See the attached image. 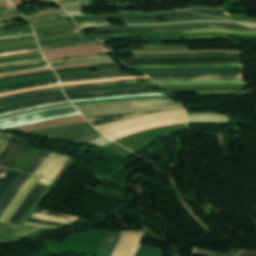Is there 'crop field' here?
I'll return each mask as SVG.
<instances>
[{"instance_id":"30","label":"crop field","mask_w":256,"mask_h":256,"mask_svg":"<svg viewBox=\"0 0 256 256\" xmlns=\"http://www.w3.org/2000/svg\"><path fill=\"white\" fill-rule=\"evenodd\" d=\"M160 249L140 247L135 256H162Z\"/></svg>"},{"instance_id":"55","label":"crop field","mask_w":256,"mask_h":256,"mask_svg":"<svg viewBox=\"0 0 256 256\" xmlns=\"http://www.w3.org/2000/svg\"><path fill=\"white\" fill-rule=\"evenodd\" d=\"M147 95H162V94H147ZM133 96H146V95H133ZM119 97H127V96H119ZM110 98H118V97H110ZM102 99H109V98H102ZM92 100H97V99H92ZM77 101H83V100H77ZM75 102V101H71Z\"/></svg>"},{"instance_id":"32","label":"crop field","mask_w":256,"mask_h":256,"mask_svg":"<svg viewBox=\"0 0 256 256\" xmlns=\"http://www.w3.org/2000/svg\"><path fill=\"white\" fill-rule=\"evenodd\" d=\"M131 82H136V81L135 80H125V81H118V82H111V83H93V84L65 86V87H62V88L63 89H69V88H80V87H89V86H98V85H110V84H121V83H131Z\"/></svg>"},{"instance_id":"67","label":"crop field","mask_w":256,"mask_h":256,"mask_svg":"<svg viewBox=\"0 0 256 256\" xmlns=\"http://www.w3.org/2000/svg\"><path fill=\"white\" fill-rule=\"evenodd\" d=\"M46 64H48V63H45V64H39V65H46ZM39 65H34V66H39ZM28 67H30V66H28ZM19 68H21V67H19ZM9 69H15V68L2 69V70H0V71L9 70Z\"/></svg>"},{"instance_id":"5","label":"crop field","mask_w":256,"mask_h":256,"mask_svg":"<svg viewBox=\"0 0 256 256\" xmlns=\"http://www.w3.org/2000/svg\"><path fill=\"white\" fill-rule=\"evenodd\" d=\"M147 74H211V73H241L244 68L231 67H202V68H176V69H139Z\"/></svg>"},{"instance_id":"1","label":"crop field","mask_w":256,"mask_h":256,"mask_svg":"<svg viewBox=\"0 0 256 256\" xmlns=\"http://www.w3.org/2000/svg\"><path fill=\"white\" fill-rule=\"evenodd\" d=\"M101 114H122L156 109H185L169 99L134 100L98 104ZM97 104L76 106L84 116L101 115Z\"/></svg>"},{"instance_id":"48","label":"crop field","mask_w":256,"mask_h":256,"mask_svg":"<svg viewBox=\"0 0 256 256\" xmlns=\"http://www.w3.org/2000/svg\"><path fill=\"white\" fill-rule=\"evenodd\" d=\"M27 221L28 222L39 223V224H45V225L64 226V224L45 222V221L35 220V219H31V218H29Z\"/></svg>"},{"instance_id":"62","label":"crop field","mask_w":256,"mask_h":256,"mask_svg":"<svg viewBox=\"0 0 256 256\" xmlns=\"http://www.w3.org/2000/svg\"><path fill=\"white\" fill-rule=\"evenodd\" d=\"M139 89H149V88H139ZM128 90H132V89H128ZM116 91H122V90H116ZM103 92H112V91H103ZM91 93H100V92H91ZM81 94H86V93H81Z\"/></svg>"},{"instance_id":"3","label":"crop field","mask_w":256,"mask_h":256,"mask_svg":"<svg viewBox=\"0 0 256 256\" xmlns=\"http://www.w3.org/2000/svg\"><path fill=\"white\" fill-rule=\"evenodd\" d=\"M72 114H79L73 106L33 112L21 116L0 120V128L4 129L8 127L19 126L27 123L43 121L48 119H54Z\"/></svg>"},{"instance_id":"44","label":"crop field","mask_w":256,"mask_h":256,"mask_svg":"<svg viewBox=\"0 0 256 256\" xmlns=\"http://www.w3.org/2000/svg\"><path fill=\"white\" fill-rule=\"evenodd\" d=\"M28 147H29V143L26 142V144L23 147V149L19 152V154L14 159V161L10 165L7 166V168H13L15 166V164L20 160V158L24 155V153L26 152Z\"/></svg>"},{"instance_id":"43","label":"crop field","mask_w":256,"mask_h":256,"mask_svg":"<svg viewBox=\"0 0 256 256\" xmlns=\"http://www.w3.org/2000/svg\"><path fill=\"white\" fill-rule=\"evenodd\" d=\"M111 66H118L116 64H108V65H101V66H95L96 68H103V67H111ZM92 67H83V68H74V69H62V70H56V73L61 72H69V71H77V70H85V69H91Z\"/></svg>"},{"instance_id":"27","label":"crop field","mask_w":256,"mask_h":256,"mask_svg":"<svg viewBox=\"0 0 256 256\" xmlns=\"http://www.w3.org/2000/svg\"><path fill=\"white\" fill-rule=\"evenodd\" d=\"M156 81L166 82V81H200V80H235L242 81V78L235 77H212V78H200V79H155Z\"/></svg>"},{"instance_id":"40","label":"crop field","mask_w":256,"mask_h":256,"mask_svg":"<svg viewBox=\"0 0 256 256\" xmlns=\"http://www.w3.org/2000/svg\"><path fill=\"white\" fill-rule=\"evenodd\" d=\"M59 92H63V91L59 90V91H53V92L38 93V94L30 95V96H25V97L15 98V99H11V100L1 101L0 104H5V103L13 102V101H16V100H20V99L32 98V97L42 96V95L51 94V93H59Z\"/></svg>"},{"instance_id":"11","label":"crop field","mask_w":256,"mask_h":256,"mask_svg":"<svg viewBox=\"0 0 256 256\" xmlns=\"http://www.w3.org/2000/svg\"><path fill=\"white\" fill-rule=\"evenodd\" d=\"M164 110H156V111H145V112H137V113H130V114H122V115H109V116H93V117H86L94 126L106 124L110 122H115L119 120H124L128 118L138 117L142 115L152 114L156 112H160Z\"/></svg>"},{"instance_id":"25","label":"crop field","mask_w":256,"mask_h":256,"mask_svg":"<svg viewBox=\"0 0 256 256\" xmlns=\"http://www.w3.org/2000/svg\"><path fill=\"white\" fill-rule=\"evenodd\" d=\"M140 78H149V77L148 76H142V77H122V78H111V79H99V80L67 82V83H61V84H62V86H64V85H73V84H83V83H93V82H110V81H118V80H125V79H140Z\"/></svg>"},{"instance_id":"41","label":"crop field","mask_w":256,"mask_h":256,"mask_svg":"<svg viewBox=\"0 0 256 256\" xmlns=\"http://www.w3.org/2000/svg\"><path fill=\"white\" fill-rule=\"evenodd\" d=\"M57 89H61V88L60 87H56V88H48V89H44V90H39V91L24 92V93H20V94H15V95L3 97V98H0V100L14 98V97H19V96H24V95H29V94L38 93V92L57 90Z\"/></svg>"},{"instance_id":"6","label":"crop field","mask_w":256,"mask_h":256,"mask_svg":"<svg viewBox=\"0 0 256 256\" xmlns=\"http://www.w3.org/2000/svg\"><path fill=\"white\" fill-rule=\"evenodd\" d=\"M42 178L40 179V181ZM38 182L34 188L31 190V192L28 194L24 202L21 204V206L18 208L15 215L11 218L9 223L17 225V223L20 221L21 217L34 205V203L42 196L43 192L46 190L48 185Z\"/></svg>"},{"instance_id":"36","label":"crop field","mask_w":256,"mask_h":256,"mask_svg":"<svg viewBox=\"0 0 256 256\" xmlns=\"http://www.w3.org/2000/svg\"><path fill=\"white\" fill-rule=\"evenodd\" d=\"M195 253L209 255V256H227V255L214 254L215 252L210 253V252H206V251H202V250H198V249H196ZM240 256H256V252L242 251Z\"/></svg>"},{"instance_id":"56","label":"crop field","mask_w":256,"mask_h":256,"mask_svg":"<svg viewBox=\"0 0 256 256\" xmlns=\"http://www.w3.org/2000/svg\"><path fill=\"white\" fill-rule=\"evenodd\" d=\"M24 225L57 228V227H54V226H45V225H39V224H34V223H28V222H26Z\"/></svg>"},{"instance_id":"8","label":"crop field","mask_w":256,"mask_h":256,"mask_svg":"<svg viewBox=\"0 0 256 256\" xmlns=\"http://www.w3.org/2000/svg\"><path fill=\"white\" fill-rule=\"evenodd\" d=\"M39 179H40L39 177H36L34 175L29 179V181L24 185V187L21 189L19 194L16 196V198L13 200V202L7 208V210L1 217L0 221L8 222V220L11 218L13 213L16 211V209L19 207V205L22 203L24 198L27 196L29 191L38 182Z\"/></svg>"},{"instance_id":"13","label":"crop field","mask_w":256,"mask_h":256,"mask_svg":"<svg viewBox=\"0 0 256 256\" xmlns=\"http://www.w3.org/2000/svg\"><path fill=\"white\" fill-rule=\"evenodd\" d=\"M180 123H186V118L173 119V120L156 122V123H150V124H146V125H143V126H140V127H136V128H133V129L122 131V132H119V133H116V134L108 135V137L115 140V139L121 138L123 136L129 135L131 133L138 132V131H141V130H144V129H148V128H152V127H156V126H164V125L180 124Z\"/></svg>"},{"instance_id":"14","label":"crop field","mask_w":256,"mask_h":256,"mask_svg":"<svg viewBox=\"0 0 256 256\" xmlns=\"http://www.w3.org/2000/svg\"><path fill=\"white\" fill-rule=\"evenodd\" d=\"M194 28H222V29H234V30H247L255 31L251 28H239V27H226V26H187V27H173V28H163V29H102V31H171V30H188Z\"/></svg>"},{"instance_id":"4","label":"crop field","mask_w":256,"mask_h":256,"mask_svg":"<svg viewBox=\"0 0 256 256\" xmlns=\"http://www.w3.org/2000/svg\"><path fill=\"white\" fill-rule=\"evenodd\" d=\"M128 65H181L202 63H237L242 64L240 58L230 57H207L186 59H129L123 60Z\"/></svg>"},{"instance_id":"39","label":"crop field","mask_w":256,"mask_h":256,"mask_svg":"<svg viewBox=\"0 0 256 256\" xmlns=\"http://www.w3.org/2000/svg\"><path fill=\"white\" fill-rule=\"evenodd\" d=\"M56 79H58V78L55 77V78H49V79H43V80L22 82V83H17V84H13V85L0 86V89H5V88L15 87V86H21V85H27V84H33V83H39V82H45V81L56 80Z\"/></svg>"},{"instance_id":"50","label":"crop field","mask_w":256,"mask_h":256,"mask_svg":"<svg viewBox=\"0 0 256 256\" xmlns=\"http://www.w3.org/2000/svg\"><path fill=\"white\" fill-rule=\"evenodd\" d=\"M67 102H70V101H66V102H59V103H67ZM59 103H52V104H59ZM52 104H46V105H52ZM46 105H41V106H46ZM41 106L25 108V109H22V110H18V111H14V112H9V113H5V114H1L0 116H2V115H6V114H11V113H16V112H20V111H25V110H29V109H33V108H37V107H41Z\"/></svg>"},{"instance_id":"42","label":"crop field","mask_w":256,"mask_h":256,"mask_svg":"<svg viewBox=\"0 0 256 256\" xmlns=\"http://www.w3.org/2000/svg\"><path fill=\"white\" fill-rule=\"evenodd\" d=\"M52 73H54V71H47V72H41V73H36V74H27V75L14 76V77H10V78L1 79L0 82L9 81V80L18 79V78L30 77V76L52 74Z\"/></svg>"},{"instance_id":"31","label":"crop field","mask_w":256,"mask_h":256,"mask_svg":"<svg viewBox=\"0 0 256 256\" xmlns=\"http://www.w3.org/2000/svg\"><path fill=\"white\" fill-rule=\"evenodd\" d=\"M138 92H153V91H151V90H132V91L113 92V93L74 95V96H67V97L74 98V97H86V96H98V95L128 94V93H138Z\"/></svg>"},{"instance_id":"38","label":"crop field","mask_w":256,"mask_h":256,"mask_svg":"<svg viewBox=\"0 0 256 256\" xmlns=\"http://www.w3.org/2000/svg\"><path fill=\"white\" fill-rule=\"evenodd\" d=\"M59 99H66V97L55 98V99H48V100H41V101H36V102L24 103V104H20V105H16V106H12V107H7V108L0 109V112L6 111V110H10V109L19 108V107H23V106H26V105L38 104V103H42V102H47V101H52V100H59Z\"/></svg>"},{"instance_id":"53","label":"crop field","mask_w":256,"mask_h":256,"mask_svg":"<svg viewBox=\"0 0 256 256\" xmlns=\"http://www.w3.org/2000/svg\"><path fill=\"white\" fill-rule=\"evenodd\" d=\"M41 67H44V66H40V67H31V68L15 69V70H10V71L1 72L0 74H2V73H8V72H14V71H21V70L34 69V68H41Z\"/></svg>"},{"instance_id":"64","label":"crop field","mask_w":256,"mask_h":256,"mask_svg":"<svg viewBox=\"0 0 256 256\" xmlns=\"http://www.w3.org/2000/svg\"><path fill=\"white\" fill-rule=\"evenodd\" d=\"M139 87H147V86H139ZM129 88H138V87H129ZM120 89H127V88H120ZM110 90H114V89H110ZM83 92H90V91H83ZM70 93H77V92H70ZM65 94H67V93H65Z\"/></svg>"},{"instance_id":"58","label":"crop field","mask_w":256,"mask_h":256,"mask_svg":"<svg viewBox=\"0 0 256 256\" xmlns=\"http://www.w3.org/2000/svg\"><path fill=\"white\" fill-rule=\"evenodd\" d=\"M69 27H72V26L71 25H66V26L52 27V28H48V29L55 30V29L69 28Z\"/></svg>"},{"instance_id":"17","label":"crop field","mask_w":256,"mask_h":256,"mask_svg":"<svg viewBox=\"0 0 256 256\" xmlns=\"http://www.w3.org/2000/svg\"><path fill=\"white\" fill-rule=\"evenodd\" d=\"M20 171H13L5 169L0 175V200L3 197L8 187L16 180L20 175Z\"/></svg>"},{"instance_id":"61","label":"crop field","mask_w":256,"mask_h":256,"mask_svg":"<svg viewBox=\"0 0 256 256\" xmlns=\"http://www.w3.org/2000/svg\"><path fill=\"white\" fill-rule=\"evenodd\" d=\"M105 57H110V56H105ZM97 58H100V57H97ZM87 59H92V58H87ZM75 60H83V59H75ZM75 60H67V61H75ZM67 61H60V62H67ZM60 62H52V63H49V64L60 63Z\"/></svg>"},{"instance_id":"69","label":"crop field","mask_w":256,"mask_h":256,"mask_svg":"<svg viewBox=\"0 0 256 256\" xmlns=\"http://www.w3.org/2000/svg\"><path fill=\"white\" fill-rule=\"evenodd\" d=\"M200 9H211V8H200ZM190 10H196V9H186L184 11H190Z\"/></svg>"},{"instance_id":"26","label":"crop field","mask_w":256,"mask_h":256,"mask_svg":"<svg viewBox=\"0 0 256 256\" xmlns=\"http://www.w3.org/2000/svg\"><path fill=\"white\" fill-rule=\"evenodd\" d=\"M30 174H27L22 181L19 183V185L13 190V192L11 193V195L8 197V199L6 200L4 206L2 207L1 211H0V217L2 215V213L5 211V209L8 207V205L11 203L12 199L16 196V194L20 191V189L23 187V185L25 184V182L28 180V178L30 177Z\"/></svg>"},{"instance_id":"23","label":"crop field","mask_w":256,"mask_h":256,"mask_svg":"<svg viewBox=\"0 0 256 256\" xmlns=\"http://www.w3.org/2000/svg\"><path fill=\"white\" fill-rule=\"evenodd\" d=\"M206 56H230L240 57L236 54H202V55H183V56H135V58H186V57H206ZM128 59V58H124Z\"/></svg>"},{"instance_id":"49","label":"crop field","mask_w":256,"mask_h":256,"mask_svg":"<svg viewBox=\"0 0 256 256\" xmlns=\"http://www.w3.org/2000/svg\"><path fill=\"white\" fill-rule=\"evenodd\" d=\"M203 53H236V52H203ZM189 54H202V53H189ZM134 55H183V54H134Z\"/></svg>"},{"instance_id":"33","label":"crop field","mask_w":256,"mask_h":256,"mask_svg":"<svg viewBox=\"0 0 256 256\" xmlns=\"http://www.w3.org/2000/svg\"><path fill=\"white\" fill-rule=\"evenodd\" d=\"M55 86H60V85L59 84L45 85V86H39V87H34V88L10 91V92H6V93L0 94V97L11 95V94H15V93H20V92H24V91L39 90V89L48 88V87H55Z\"/></svg>"},{"instance_id":"68","label":"crop field","mask_w":256,"mask_h":256,"mask_svg":"<svg viewBox=\"0 0 256 256\" xmlns=\"http://www.w3.org/2000/svg\"><path fill=\"white\" fill-rule=\"evenodd\" d=\"M44 62H46V61L38 62V63H44ZM32 64H37V63H32ZM27 65H29V64H27ZM19 66H22V65H19ZM9 67H16V66H9ZM5 68H8V67H5ZM0 69H1V68H0Z\"/></svg>"},{"instance_id":"66","label":"crop field","mask_w":256,"mask_h":256,"mask_svg":"<svg viewBox=\"0 0 256 256\" xmlns=\"http://www.w3.org/2000/svg\"><path fill=\"white\" fill-rule=\"evenodd\" d=\"M169 12H180V11H169ZM169 12H152V13H169ZM120 13H130V12H120Z\"/></svg>"},{"instance_id":"71","label":"crop field","mask_w":256,"mask_h":256,"mask_svg":"<svg viewBox=\"0 0 256 256\" xmlns=\"http://www.w3.org/2000/svg\"><path fill=\"white\" fill-rule=\"evenodd\" d=\"M3 170H4L3 168H0V174H1V172H2Z\"/></svg>"},{"instance_id":"24","label":"crop field","mask_w":256,"mask_h":256,"mask_svg":"<svg viewBox=\"0 0 256 256\" xmlns=\"http://www.w3.org/2000/svg\"><path fill=\"white\" fill-rule=\"evenodd\" d=\"M153 98H167V97H165V96L127 97V98H119V99H111V100L77 102V103H73V104L80 105V104H92V103H100V102H113V101H124V100H134V99H153Z\"/></svg>"},{"instance_id":"57","label":"crop field","mask_w":256,"mask_h":256,"mask_svg":"<svg viewBox=\"0 0 256 256\" xmlns=\"http://www.w3.org/2000/svg\"><path fill=\"white\" fill-rule=\"evenodd\" d=\"M28 27H31V26L18 27V28H11V29H0V32H4V31H12V30L22 29V28H28Z\"/></svg>"},{"instance_id":"46","label":"crop field","mask_w":256,"mask_h":256,"mask_svg":"<svg viewBox=\"0 0 256 256\" xmlns=\"http://www.w3.org/2000/svg\"><path fill=\"white\" fill-rule=\"evenodd\" d=\"M10 136H11L10 134L1 133V135H0V152L3 149V147L6 145V143L8 142Z\"/></svg>"},{"instance_id":"65","label":"crop field","mask_w":256,"mask_h":256,"mask_svg":"<svg viewBox=\"0 0 256 256\" xmlns=\"http://www.w3.org/2000/svg\"><path fill=\"white\" fill-rule=\"evenodd\" d=\"M62 96V95H61ZM56 97V96H55ZM47 98H50V97H47ZM41 99H46V98H41ZM41 99H36V100H41ZM30 101H34V100H30ZM24 102H28V101H24ZM24 102H19V103H24ZM16 104H18V103H16ZM13 105H15V104H13ZM9 106H11V105H9ZM4 107H7V106H4ZM0 108H2V107H0Z\"/></svg>"},{"instance_id":"22","label":"crop field","mask_w":256,"mask_h":256,"mask_svg":"<svg viewBox=\"0 0 256 256\" xmlns=\"http://www.w3.org/2000/svg\"><path fill=\"white\" fill-rule=\"evenodd\" d=\"M210 38H223L229 39L228 37H193V38H186L185 40H197V39H210ZM182 41V39H130V40H119V39H102L103 42H113V41Z\"/></svg>"},{"instance_id":"37","label":"crop field","mask_w":256,"mask_h":256,"mask_svg":"<svg viewBox=\"0 0 256 256\" xmlns=\"http://www.w3.org/2000/svg\"><path fill=\"white\" fill-rule=\"evenodd\" d=\"M69 16L66 13H61V14H54V15H50V16H45V17H41V18H36V19H30V23H34V22H41V21H46L49 19H54V18H61V17H67Z\"/></svg>"},{"instance_id":"34","label":"crop field","mask_w":256,"mask_h":256,"mask_svg":"<svg viewBox=\"0 0 256 256\" xmlns=\"http://www.w3.org/2000/svg\"><path fill=\"white\" fill-rule=\"evenodd\" d=\"M26 175V173L22 172L21 175L17 178V180L10 186V188L5 193L4 197L0 201V209L3 206L5 200L9 196V194L12 192V190L15 188V186L20 182V180Z\"/></svg>"},{"instance_id":"21","label":"crop field","mask_w":256,"mask_h":256,"mask_svg":"<svg viewBox=\"0 0 256 256\" xmlns=\"http://www.w3.org/2000/svg\"><path fill=\"white\" fill-rule=\"evenodd\" d=\"M152 78H199V77H211V76H235L242 77L240 74H211V75H149Z\"/></svg>"},{"instance_id":"19","label":"crop field","mask_w":256,"mask_h":256,"mask_svg":"<svg viewBox=\"0 0 256 256\" xmlns=\"http://www.w3.org/2000/svg\"><path fill=\"white\" fill-rule=\"evenodd\" d=\"M192 15H199V14L187 13V14H181V15H164V17H182V16H192ZM158 17L160 16H102V17L79 18V19H75V21L105 19V18H158Z\"/></svg>"},{"instance_id":"15","label":"crop field","mask_w":256,"mask_h":256,"mask_svg":"<svg viewBox=\"0 0 256 256\" xmlns=\"http://www.w3.org/2000/svg\"><path fill=\"white\" fill-rule=\"evenodd\" d=\"M122 232H108L96 256H110Z\"/></svg>"},{"instance_id":"18","label":"crop field","mask_w":256,"mask_h":256,"mask_svg":"<svg viewBox=\"0 0 256 256\" xmlns=\"http://www.w3.org/2000/svg\"><path fill=\"white\" fill-rule=\"evenodd\" d=\"M86 127H91L89 122L82 123V124L62 126V127L48 129V130H42L38 134H40L42 136H47V135H53V134H57V133H61V132H66V131H70V130L86 128ZM42 132H48V133L47 134H42Z\"/></svg>"},{"instance_id":"51","label":"crop field","mask_w":256,"mask_h":256,"mask_svg":"<svg viewBox=\"0 0 256 256\" xmlns=\"http://www.w3.org/2000/svg\"><path fill=\"white\" fill-rule=\"evenodd\" d=\"M103 23H109L108 21H102V22H85L78 24L79 26H85V25H95V24H103Z\"/></svg>"},{"instance_id":"54","label":"crop field","mask_w":256,"mask_h":256,"mask_svg":"<svg viewBox=\"0 0 256 256\" xmlns=\"http://www.w3.org/2000/svg\"><path fill=\"white\" fill-rule=\"evenodd\" d=\"M138 94H146V93H138ZM129 95H133V94H129ZM114 96H119V95H114ZM102 97H110V96L87 97V98H75V99H69V100H77V99H91V98H102Z\"/></svg>"},{"instance_id":"45","label":"crop field","mask_w":256,"mask_h":256,"mask_svg":"<svg viewBox=\"0 0 256 256\" xmlns=\"http://www.w3.org/2000/svg\"><path fill=\"white\" fill-rule=\"evenodd\" d=\"M51 152L47 151L45 155L35 164V166L29 171V173L34 174L36 170L42 165V163L49 157Z\"/></svg>"},{"instance_id":"20","label":"crop field","mask_w":256,"mask_h":256,"mask_svg":"<svg viewBox=\"0 0 256 256\" xmlns=\"http://www.w3.org/2000/svg\"><path fill=\"white\" fill-rule=\"evenodd\" d=\"M193 20H224L221 18H206V17H192V18H181V19H173L170 22H179V21H193ZM124 23H132V24H143V23H170V22H161V21H123Z\"/></svg>"},{"instance_id":"12","label":"crop field","mask_w":256,"mask_h":256,"mask_svg":"<svg viewBox=\"0 0 256 256\" xmlns=\"http://www.w3.org/2000/svg\"><path fill=\"white\" fill-rule=\"evenodd\" d=\"M129 74L124 73L121 70L101 72V73H90V74H78L59 77L61 82L66 81H76V80H86V79H97V78H107V77H117V76H128Z\"/></svg>"},{"instance_id":"2","label":"crop field","mask_w":256,"mask_h":256,"mask_svg":"<svg viewBox=\"0 0 256 256\" xmlns=\"http://www.w3.org/2000/svg\"><path fill=\"white\" fill-rule=\"evenodd\" d=\"M178 117H187L186 110H169L161 113H156L148 116L138 117L134 119L119 121L115 123H110L106 125L97 126L96 128L103 134L107 135L110 133L126 130L136 126H140L146 123L178 118Z\"/></svg>"},{"instance_id":"47","label":"crop field","mask_w":256,"mask_h":256,"mask_svg":"<svg viewBox=\"0 0 256 256\" xmlns=\"http://www.w3.org/2000/svg\"><path fill=\"white\" fill-rule=\"evenodd\" d=\"M45 153V150H41L38 155L35 157V159L32 161V163L24 170L25 172H28L33 166L34 164L43 156V154Z\"/></svg>"},{"instance_id":"9","label":"crop field","mask_w":256,"mask_h":256,"mask_svg":"<svg viewBox=\"0 0 256 256\" xmlns=\"http://www.w3.org/2000/svg\"><path fill=\"white\" fill-rule=\"evenodd\" d=\"M25 141L12 135L8 144L0 154V166L6 167L10 164L23 147Z\"/></svg>"},{"instance_id":"35","label":"crop field","mask_w":256,"mask_h":256,"mask_svg":"<svg viewBox=\"0 0 256 256\" xmlns=\"http://www.w3.org/2000/svg\"><path fill=\"white\" fill-rule=\"evenodd\" d=\"M114 60L113 58H101V59H93V60H84V61H75V62H68V63H61V64H53L51 67L61 66V65H70V64H80V63H90V62H99V61H109Z\"/></svg>"},{"instance_id":"70","label":"crop field","mask_w":256,"mask_h":256,"mask_svg":"<svg viewBox=\"0 0 256 256\" xmlns=\"http://www.w3.org/2000/svg\"><path fill=\"white\" fill-rule=\"evenodd\" d=\"M1 26H4V23H3V22H0V27H1Z\"/></svg>"},{"instance_id":"28","label":"crop field","mask_w":256,"mask_h":256,"mask_svg":"<svg viewBox=\"0 0 256 256\" xmlns=\"http://www.w3.org/2000/svg\"><path fill=\"white\" fill-rule=\"evenodd\" d=\"M35 213L65 218L67 220H71V221H75V222L82 220L81 218H77V217H73V216H69V215H65V214H61V213H56V212L48 211V210L41 209V208H38Z\"/></svg>"},{"instance_id":"52","label":"crop field","mask_w":256,"mask_h":256,"mask_svg":"<svg viewBox=\"0 0 256 256\" xmlns=\"http://www.w3.org/2000/svg\"><path fill=\"white\" fill-rule=\"evenodd\" d=\"M196 13H202V14H206V15H229L227 13H223V12H196Z\"/></svg>"},{"instance_id":"7","label":"crop field","mask_w":256,"mask_h":256,"mask_svg":"<svg viewBox=\"0 0 256 256\" xmlns=\"http://www.w3.org/2000/svg\"><path fill=\"white\" fill-rule=\"evenodd\" d=\"M101 136L103 135H101L97 130H95L94 127H91V128L74 131V132L63 133V134H58V135H53L48 137L87 143Z\"/></svg>"},{"instance_id":"72","label":"crop field","mask_w":256,"mask_h":256,"mask_svg":"<svg viewBox=\"0 0 256 256\" xmlns=\"http://www.w3.org/2000/svg\"><path fill=\"white\" fill-rule=\"evenodd\" d=\"M4 9H7V8H4Z\"/></svg>"},{"instance_id":"60","label":"crop field","mask_w":256,"mask_h":256,"mask_svg":"<svg viewBox=\"0 0 256 256\" xmlns=\"http://www.w3.org/2000/svg\"><path fill=\"white\" fill-rule=\"evenodd\" d=\"M66 100H68V99H66ZM66 100H60V101H66ZM52 102H58V101H52ZM52 102H47V103H52ZM42 104H46V103H42ZM38 105H41V104H38ZM32 106H36V105H32ZM26 107H30V106H26ZM23 108H25V107H23ZM19 109H21V108H19ZM15 110H18V109H15ZM11 111H14V110H11ZM7 112H9V111H7ZM3 113H5V112H3Z\"/></svg>"},{"instance_id":"59","label":"crop field","mask_w":256,"mask_h":256,"mask_svg":"<svg viewBox=\"0 0 256 256\" xmlns=\"http://www.w3.org/2000/svg\"><path fill=\"white\" fill-rule=\"evenodd\" d=\"M101 56H105V55H101ZM90 57H97V56H90ZM75 58H87V57H74V58H67V59H75ZM60 60H66V59H60ZM60 60H52V61H60ZM52 61H48V62H52Z\"/></svg>"},{"instance_id":"16","label":"crop field","mask_w":256,"mask_h":256,"mask_svg":"<svg viewBox=\"0 0 256 256\" xmlns=\"http://www.w3.org/2000/svg\"><path fill=\"white\" fill-rule=\"evenodd\" d=\"M39 227L0 226V236H26Z\"/></svg>"},{"instance_id":"63","label":"crop field","mask_w":256,"mask_h":256,"mask_svg":"<svg viewBox=\"0 0 256 256\" xmlns=\"http://www.w3.org/2000/svg\"><path fill=\"white\" fill-rule=\"evenodd\" d=\"M61 94H63V93H60V94H52V95H46V96H42V97H47V96H55V95H61ZM38 98H41V97H38ZM32 99H35V98H32ZM27 100H29V99H27ZM20 101H23V100H20ZM16 102H18V101H16ZM14 103V102H13ZM10 104V103H9ZM6 105V104H5ZM0 106H3V105H0Z\"/></svg>"},{"instance_id":"10","label":"crop field","mask_w":256,"mask_h":256,"mask_svg":"<svg viewBox=\"0 0 256 256\" xmlns=\"http://www.w3.org/2000/svg\"><path fill=\"white\" fill-rule=\"evenodd\" d=\"M128 235L127 234H123L120 242L118 243L116 249L114 250L112 256H118L122 246L124 245L126 239H127ZM143 236H139V235H130L127 243L125 244L123 250L121 251L119 256H133V254L135 253L141 239Z\"/></svg>"},{"instance_id":"29","label":"crop field","mask_w":256,"mask_h":256,"mask_svg":"<svg viewBox=\"0 0 256 256\" xmlns=\"http://www.w3.org/2000/svg\"><path fill=\"white\" fill-rule=\"evenodd\" d=\"M138 85H144V83H132V84H121V85H111V86H98V87H89V88H80V89H69V90H64V92L82 91V90H95V89H107V88H118V87L138 86Z\"/></svg>"}]
</instances>
